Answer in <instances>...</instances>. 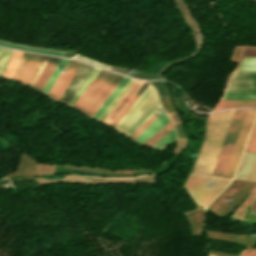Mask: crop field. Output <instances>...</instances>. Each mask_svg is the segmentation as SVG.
<instances>
[{
  "label": "crop field",
  "instance_id": "20",
  "mask_svg": "<svg viewBox=\"0 0 256 256\" xmlns=\"http://www.w3.org/2000/svg\"><path fill=\"white\" fill-rule=\"evenodd\" d=\"M221 99H256V92H225Z\"/></svg>",
  "mask_w": 256,
  "mask_h": 256
},
{
  "label": "crop field",
  "instance_id": "21",
  "mask_svg": "<svg viewBox=\"0 0 256 256\" xmlns=\"http://www.w3.org/2000/svg\"><path fill=\"white\" fill-rule=\"evenodd\" d=\"M31 55L32 54L26 53V52L23 53V55L20 59V62L18 64L17 68H16V71H15L13 77H12L13 79H16L18 81L20 80Z\"/></svg>",
  "mask_w": 256,
  "mask_h": 256
},
{
  "label": "crop field",
  "instance_id": "18",
  "mask_svg": "<svg viewBox=\"0 0 256 256\" xmlns=\"http://www.w3.org/2000/svg\"><path fill=\"white\" fill-rule=\"evenodd\" d=\"M22 53L23 52L13 51L12 56L9 60V63L6 67V70L3 74L4 76L12 77Z\"/></svg>",
  "mask_w": 256,
  "mask_h": 256
},
{
  "label": "crop field",
  "instance_id": "16",
  "mask_svg": "<svg viewBox=\"0 0 256 256\" xmlns=\"http://www.w3.org/2000/svg\"><path fill=\"white\" fill-rule=\"evenodd\" d=\"M149 84L143 83V85L138 89V91L134 94V96L130 99V101L125 105V107L121 110V112L117 115V117L110 124L115 127L116 124L121 120V118L125 115V113L129 110V108L134 104V102L138 99V97L142 94V92L147 88Z\"/></svg>",
  "mask_w": 256,
  "mask_h": 256
},
{
  "label": "crop field",
  "instance_id": "8",
  "mask_svg": "<svg viewBox=\"0 0 256 256\" xmlns=\"http://www.w3.org/2000/svg\"><path fill=\"white\" fill-rule=\"evenodd\" d=\"M79 65L80 63L78 62L68 60L67 64L64 67L65 71L62 70L61 74L59 75L52 89L50 90L49 95L59 100L60 96L62 95L63 91L65 90L66 86L73 77Z\"/></svg>",
  "mask_w": 256,
  "mask_h": 256
},
{
  "label": "crop field",
  "instance_id": "5",
  "mask_svg": "<svg viewBox=\"0 0 256 256\" xmlns=\"http://www.w3.org/2000/svg\"><path fill=\"white\" fill-rule=\"evenodd\" d=\"M247 110H235L212 175L222 176Z\"/></svg>",
  "mask_w": 256,
  "mask_h": 256
},
{
  "label": "crop field",
  "instance_id": "11",
  "mask_svg": "<svg viewBox=\"0 0 256 256\" xmlns=\"http://www.w3.org/2000/svg\"><path fill=\"white\" fill-rule=\"evenodd\" d=\"M241 57L256 58V48H243ZM241 58L235 71H256V59Z\"/></svg>",
  "mask_w": 256,
  "mask_h": 256
},
{
  "label": "crop field",
  "instance_id": "28",
  "mask_svg": "<svg viewBox=\"0 0 256 256\" xmlns=\"http://www.w3.org/2000/svg\"><path fill=\"white\" fill-rule=\"evenodd\" d=\"M0 45L1 46H7V47H13V48H19V49H25V50H30V51H36V52L55 54V55H59V56L62 55L61 52H55V51H49V50H41V49H34V48H29V47L14 45V44H8V43H3V42H0Z\"/></svg>",
  "mask_w": 256,
  "mask_h": 256
},
{
  "label": "crop field",
  "instance_id": "14",
  "mask_svg": "<svg viewBox=\"0 0 256 256\" xmlns=\"http://www.w3.org/2000/svg\"><path fill=\"white\" fill-rule=\"evenodd\" d=\"M129 78L124 77L123 80L119 83V85L115 88V90L111 93V95L106 99V101L102 104V106L98 109V111L94 114L93 118L99 119L102 113L106 110V108L110 105L113 99L117 96V94L121 91L124 85L128 82Z\"/></svg>",
  "mask_w": 256,
  "mask_h": 256
},
{
  "label": "crop field",
  "instance_id": "22",
  "mask_svg": "<svg viewBox=\"0 0 256 256\" xmlns=\"http://www.w3.org/2000/svg\"><path fill=\"white\" fill-rule=\"evenodd\" d=\"M47 59H48L47 56H43V55L40 56V58L38 60V63L35 67V70H34L32 76H31V79H30L29 83H28L29 85L34 87V85H35V83H36V81H37V79H38L46 61H47Z\"/></svg>",
  "mask_w": 256,
  "mask_h": 256
},
{
  "label": "crop field",
  "instance_id": "10",
  "mask_svg": "<svg viewBox=\"0 0 256 256\" xmlns=\"http://www.w3.org/2000/svg\"><path fill=\"white\" fill-rule=\"evenodd\" d=\"M169 118L165 113L160 114L137 138L136 140L140 142L146 141L150 136L157 132L161 127H163ZM168 124V123H167ZM166 124V125H167Z\"/></svg>",
  "mask_w": 256,
  "mask_h": 256
},
{
  "label": "crop field",
  "instance_id": "15",
  "mask_svg": "<svg viewBox=\"0 0 256 256\" xmlns=\"http://www.w3.org/2000/svg\"><path fill=\"white\" fill-rule=\"evenodd\" d=\"M256 197V187L255 189L249 194L247 199L240 205V207L235 211L231 218L243 220L251 203Z\"/></svg>",
  "mask_w": 256,
  "mask_h": 256
},
{
  "label": "crop field",
  "instance_id": "13",
  "mask_svg": "<svg viewBox=\"0 0 256 256\" xmlns=\"http://www.w3.org/2000/svg\"><path fill=\"white\" fill-rule=\"evenodd\" d=\"M232 107H256V100H220L214 111Z\"/></svg>",
  "mask_w": 256,
  "mask_h": 256
},
{
  "label": "crop field",
  "instance_id": "29",
  "mask_svg": "<svg viewBox=\"0 0 256 256\" xmlns=\"http://www.w3.org/2000/svg\"><path fill=\"white\" fill-rule=\"evenodd\" d=\"M133 79H130L126 86L122 89V91L118 94L115 100L111 103V105L107 108L104 114L100 117V121L107 115V113L112 109V107L116 104V102L120 99V97L124 94V92L129 88V86L133 83ZM126 93V92H125ZM122 98V97H121ZM109 114V113H108ZM105 119V118H104Z\"/></svg>",
  "mask_w": 256,
  "mask_h": 256
},
{
  "label": "crop field",
  "instance_id": "7",
  "mask_svg": "<svg viewBox=\"0 0 256 256\" xmlns=\"http://www.w3.org/2000/svg\"><path fill=\"white\" fill-rule=\"evenodd\" d=\"M225 91H256V72H233Z\"/></svg>",
  "mask_w": 256,
  "mask_h": 256
},
{
  "label": "crop field",
  "instance_id": "17",
  "mask_svg": "<svg viewBox=\"0 0 256 256\" xmlns=\"http://www.w3.org/2000/svg\"><path fill=\"white\" fill-rule=\"evenodd\" d=\"M67 60L61 59L58 66L52 73L51 77L45 84L44 88L42 89V92L48 94L49 90L51 89L52 85L54 84L55 80L57 79L58 75L60 74L61 70L63 69L64 65L66 64Z\"/></svg>",
  "mask_w": 256,
  "mask_h": 256
},
{
  "label": "crop field",
  "instance_id": "31",
  "mask_svg": "<svg viewBox=\"0 0 256 256\" xmlns=\"http://www.w3.org/2000/svg\"><path fill=\"white\" fill-rule=\"evenodd\" d=\"M245 149L256 152V122Z\"/></svg>",
  "mask_w": 256,
  "mask_h": 256
},
{
  "label": "crop field",
  "instance_id": "30",
  "mask_svg": "<svg viewBox=\"0 0 256 256\" xmlns=\"http://www.w3.org/2000/svg\"><path fill=\"white\" fill-rule=\"evenodd\" d=\"M163 111L161 107L154 115H152L138 130H136L130 137L136 138L159 114Z\"/></svg>",
  "mask_w": 256,
  "mask_h": 256
},
{
  "label": "crop field",
  "instance_id": "26",
  "mask_svg": "<svg viewBox=\"0 0 256 256\" xmlns=\"http://www.w3.org/2000/svg\"><path fill=\"white\" fill-rule=\"evenodd\" d=\"M12 51L10 49L0 48V75L3 74Z\"/></svg>",
  "mask_w": 256,
  "mask_h": 256
},
{
  "label": "crop field",
  "instance_id": "34",
  "mask_svg": "<svg viewBox=\"0 0 256 256\" xmlns=\"http://www.w3.org/2000/svg\"><path fill=\"white\" fill-rule=\"evenodd\" d=\"M209 256H211V255H209Z\"/></svg>",
  "mask_w": 256,
  "mask_h": 256
},
{
  "label": "crop field",
  "instance_id": "1",
  "mask_svg": "<svg viewBox=\"0 0 256 256\" xmlns=\"http://www.w3.org/2000/svg\"><path fill=\"white\" fill-rule=\"evenodd\" d=\"M234 110L210 114L206 136L191 172L210 175Z\"/></svg>",
  "mask_w": 256,
  "mask_h": 256
},
{
  "label": "crop field",
  "instance_id": "2",
  "mask_svg": "<svg viewBox=\"0 0 256 256\" xmlns=\"http://www.w3.org/2000/svg\"><path fill=\"white\" fill-rule=\"evenodd\" d=\"M123 76L101 70L72 107L92 117Z\"/></svg>",
  "mask_w": 256,
  "mask_h": 256
},
{
  "label": "crop field",
  "instance_id": "9",
  "mask_svg": "<svg viewBox=\"0 0 256 256\" xmlns=\"http://www.w3.org/2000/svg\"><path fill=\"white\" fill-rule=\"evenodd\" d=\"M256 177V154L245 151L235 178L254 181Z\"/></svg>",
  "mask_w": 256,
  "mask_h": 256
},
{
  "label": "crop field",
  "instance_id": "24",
  "mask_svg": "<svg viewBox=\"0 0 256 256\" xmlns=\"http://www.w3.org/2000/svg\"><path fill=\"white\" fill-rule=\"evenodd\" d=\"M176 140L174 129L170 130L166 135H164L160 140H158L152 147L161 149L168 145L169 143Z\"/></svg>",
  "mask_w": 256,
  "mask_h": 256
},
{
  "label": "crop field",
  "instance_id": "25",
  "mask_svg": "<svg viewBox=\"0 0 256 256\" xmlns=\"http://www.w3.org/2000/svg\"><path fill=\"white\" fill-rule=\"evenodd\" d=\"M149 83L155 86L160 98L170 97L167 82L152 81Z\"/></svg>",
  "mask_w": 256,
  "mask_h": 256
},
{
  "label": "crop field",
  "instance_id": "35",
  "mask_svg": "<svg viewBox=\"0 0 256 256\" xmlns=\"http://www.w3.org/2000/svg\"><path fill=\"white\" fill-rule=\"evenodd\" d=\"M256 181V180H255Z\"/></svg>",
  "mask_w": 256,
  "mask_h": 256
},
{
  "label": "crop field",
  "instance_id": "32",
  "mask_svg": "<svg viewBox=\"0 0 256 256\" xmlns=\"http://www.w3.org/2000/svg\"><path fill=\"white\" fill-rule=\"evenodd\" d=\"M74 58H75V59H79V60L86 61V62H88V63L94 64V65H97V66H100V67H103V68H107V69H109V67H110V66H108V65H105V64H102V63H100V62H97V61H94V60H92V59H89V58H86V57H84V56H81V55H79V54H76Z\"/></svg>",
  "mask_w": 256,
  "mask_h": 256
},
{
  "label": "crop field",
  "instance_id": "23",
  "mask_svg": "<svg viewBox=\"0 0 256 256\" xmlns=\"http://www.w3.org/2000/svg\"><path fill=\"white\" fill-rule=\"evenodd\" d=\"M39 56L40 55H36V54L32 55L28 65H27V68H26V70H25V72H24V74H23V76L20 80L21 82H24L26 84L28 83Z\"/></svg>",
  "mask_w": 256,
  "mask_h": 256
},
{
  "label": "crop field",
  "instance_id": "6",
  "mask_svg": "<svg viewBox=\"0 0 256 256\" xmlns=\"http://www.w3.org/2000/svg\"><path fill=\"white\" fill-rule=\"evenodd\" d=\"M255 115L256 110L247 111V114L245 116L244 122L242 124L241 130L239 132L238 138L236 140L235 146L233 148L232 154L230 156L229 162L227 164L223 176L233 178Z\"/></svg>",
  "mask_w": 256,
  "mask_h": 256
},
{
  "label": "crop field",
  "instance_id": "27",
  "mask_svg": "<svg viewBox=\"0 0 256 256\" xmlns=\"http://www.w3.org/2000/svg\"><path fill=\"white\" fill-rule=\"evenodd\" d=\"M132 77L140 78V79H155V78H163L162 75L146 72V71H140V70H133Z\"/></svg>",
  "mask_w": 256,
  "mask_h": 256
},
{
  "label": "crop field",
  "instance_id": "19",
  "mask_svg": "<svg viewBox=\"0 0 256 256\" xmlns=\"http://www.w3.org/2000/svg\"><path fill=\"white\" fill-rule=\"evenodd\" d=\"M100 69L94 67L89 76L86 78L82 86L79 88L77 93L74 95L72 100L69 102V105H73V103L77 100V98L82 94V92L86 89V87L90 84V82L95 78V76L99 73Z\"/></svg>",
  "mask_w": 256,
  "mask_h": 256
},
{
  "label": "crop field",
  "instance_id": "12",
  "mask_svg": "<svg viewBox=\"0 0 256 256\" xmlns=\"http://www.w3.org/2000/svg\"><path fill=\"white\" fill-rule=\"evenodd\" d=\"M59 61H60V59H58V58L49 57L34 88L41 91V89L43 88L44 84L50 77L51 73L53 72V70L55 69V67L57 66Z\"/></svg>",
  "mask_w": 256,
  "mask_h": 256
},
{
  "label": "crop field",
  "instance_id": "4",
  "mask_svg": "<svg viewBox=\"0 0 256 256\" xmlns=\"http://www.w3.org/2000/svg\"><path fill=\"white\" fill-rule=\"evenodd\" d=\"M229 181L228 179L191 174L184 187L197 205L207 207Z\"/></svg>",
  "mask_w": 256,
  "mask_h": 256
},
{
  "label": "crop field",
  "instance_id": "3",
  "mask_svg": "<svg viewBox=\"0 0 256 256\" xmlns=\"http://www.w3.org/2000/svg\"><path fill=\"white\" fill-rule=\"evenodd\" d=\"M160 107L157 94L149 85L115 128L130 136Z\"/></svg>",
  "mask_w": 256,
  "mask_h": 256
},
{
  "label": "crop field",
  "instance_id": "33",
  "mask_svg": "<svg viewBox=\"0 0 256 256\" xmlns=\"http://www.w3.org/2000/svg\"><path fill=\"white\" fill-rule=\"evenodd\" d=\"M240 256H256V249L247 246Z\"/></svg>",
  "mask_w": 256,
  "mask_h": 256
}]
</instances>
